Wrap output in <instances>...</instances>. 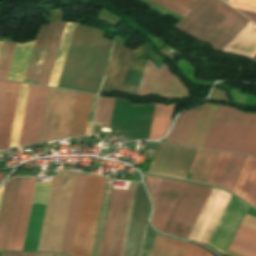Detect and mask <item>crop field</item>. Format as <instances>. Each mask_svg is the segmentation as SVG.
I'll return each mask as SVG.
<instances>
[{
    "label": "crop field",
    "instance_id": "e52e79f7",
    "mask_svg": "<svg viewBox=\"0 0 256 256\" xmlns=\"http://www.w3.org/2000/svg\"><path fill=\"white\" fill-rule=\"evenodd\" d=\"M150 202L143 183H134L119 256H140Z\"/></svg>",
    "mask_w": 256,
    "mask_h": 256
},
{
    "label": "crop field",
    "instance_id": "425ffa30",
    "mask_svg": "<svg viewBox=\"0 0 256 256\" xmlns=\"http://www.w3.org/2000/svg\"><path fill=\"white\" fill-rule=\"evenodd\" d=\"M228 249L231 251L237 252L239 254L245 255V256H256V253L249 251L247 249H244L242 247H239L237 245H234L232 243L230 244Z\"/></svg>",
    "mask_w": 256,
    "mask_h": 256
},
{
    "label": "crop field",
    "instance_id": "bc2a9ffb",
    "mask_svg": "<svg viewBox=\"0 0 256 256\" xmlns=\"http://www.w3.org/2000/svg\"><path fill=\"white\" fill-rule=\"evenodd\" d=\"M20 83L7 81L5 93L18 95ZM4 95L0 113V149L8 148L17 96Z\"/></svg>",
    "mask_w": 256,
    "mask_h": 256
},
{
    "label": "crop field",
    "instance_id": "d9b57169",
    "mask_svg": "<svg viewBox=\"0 0 256 256\" xmlns=\"http://www.w3.org/2000/svg\"><path fill=\"white\" fill-rule=\"evenodd\" d=\"M132 52L118 44L114 45L100 93L121 92Z\"/></svg>",
    "mask_w": 256,
    "mask_h": 256
},
{
    "label": "crop field",
    "instance_id": "447ae74e",
    "mask_svg": "<svg viewBox=\"0 0 256 256\" xmlns=\"http://www.w3.org/2000/svg\"><path fill=\"white\" fill-rule=\"evenodd\" d=\"M2 42H3V41H0V49H1V46H2Z\"/></svg>",
    "mask_w": 256,
    "mask_h": 256
},
{
    "label": "crop field",
    "instance_id": "f4fd0767",
    "mask_svg": "<svg viewBox=\"0 0 256 256\" xmlns=\"http://www.w3.org/2000/svg\"><path fill=\"white\" fill-rule=\"evenodd\" d=\"M106 178L87 174L72 256H90Z\"/></svg>",
    "mask_w": 256,
    "mask_h": 256
},
{
    "label": "crop field",
    "instance_id": "5866460e",
    "mask_svg": "<svg viewBox=\"0 0 256 256\" xmlns=\"http://www.w3.org/2000/svg\"><path fill=\"white\" fill-rule=\"evenodd\" d=\"M28 178H22L7 250H13Z\"/></svg>",
    "mask_w": 256,
    "mask_h": 256
},
{
    "label": "crop field",
    "instance_id": "b80d0937",
    "mask_svg": "<svg viewBox=\"0 0 256 256\" xmlns=\"http://www.w3.org/2000/svg\"><path fill=\"white\" fill-rule=\"evenodd\" d=\"M154 2H156L157 4L185 17L189 12L190 10L180 6V5H177L169 0H152Z\"/></svg>",
    "mask_w": 256,
    "mask_h": 256
},
{
    "label": "crop field",
    "instance_id": "0765c3eb",
    "mask_svg": "<svg viewBox=\"0 0 256 256\" xmlns=\"http://www.w3.org/2000/svg\"><path fill=\"white\" fill-rule=\"evenodd\" d=\"M224 1H226V2H227V0H224Z\"/></svg>",
    "mask_w": 256,
    "mask_h": 256
},
{
    "label": "crop field",
    "instance_id": "1f2cbd36",
    "mask_svg": "<svg viewBox=\"0 0 256 256\" xmlns=\"http://www.w3.org/2000/svg\"><path fill=\"white\" fill-rule=\"evenodd\" d=\"M5 83H6V81L0 80V107H1L3 92H4V88H5Z\"/></svg>",
    "mask_w": 256,
    "mask_h": 256
},
{
    "label": "crop field",
    "instance_id": "028f5c9d",
    "mask_svg": "<svg viewBox=\"0 0 256 256\" xmlns=\"http://www.w3.org/2000/svg\"><path fill=\"white\" fill-rule=\"evenodd\" d=\"M17 44L3 42L0 52V78L6 79Z\"/></svg>",
    "mask_w": 256,
    "mask_h": 256
},
{
    "label": "crop field",
    "instance_id": "dafd665d",
    "mask_svg": "<svg viewBox=\"0 0 256 256\" xmlns=\"http://www.w3.org/2000/svg\"><path fill=\"white\" fill-rule=\"evenodd\" d=\"M223 49L252 58L256 54V25L250 21Z\"/></svg>",
    "mask_w": 256,
    "mask_h": 256
},
{
    "label": "crop field",
    "instance_id": "eef30255",
    "mask_svg": "<svg viewBox=\"0 0 256 256\" xmlns=\"http://www.w3.org/2000/svg\"><path fill=\"white\" fill-rule=\"evenodd\" d=\"M34 42L27 43L24 45H17L16 52L7 79L23 82L30 60V56L32 53V49L34 46Z\"/></svg>",
    "mask_w": 256,
    "mask_h": 256
},
{
    "label": "crop field",
    "instance_id": "0fb4a251",
    "mask_svg": "<svg viewBox=\"0 0 256 256\" xmlns=\"http://www.w3.org/2000/svg\"><path fill=\"white\" fill-rule=\"evenodd\" d=\"M3 179V172H0V181Z\"/></svg>",
    "mask_w": 256,
    "mask_h": 256
},
{
    "label": "crop field",
    "instance_id": "d23c7cc5",
    "mask_svg": "<svg viewBox=\"0 0 256 256\" xmlns=\"http://www.w3.org/2000/svg\"><path fill=\"white\" fill-rule=\"evenodd\" d=\"M230 95H231L232 101L238 102V103H241V104H244L247 97H248V95H246L242 92L234 91V90H231V89H230Z\"/></svg>",
    "mask_w": 256,
    "mask_h": 256
},
{
    "label": "crop field",
    "instance_id": "d32e631a",
    "mask_svg": "<svg viewBox=\"0 0 256 256\" xmlns=\"http://www.w3.org/2000/svg\"><path fill=\"white\" fill-rule=\"evenodd\" d=\"M28 87H29V85L21 83L9 148L15 147L18 144V139H19L20 128H21V123H22V118H23V113H24V108H25V103H26Z\"/></svg>",
    "mask_w": 256,
    "mask_h": 256
},
{
    "label": "crop field",
    "instance_id": "412701ff",
    "mask_svg": "<svg viewBox=\"0 0 256 256\" xmlns=\"http://www.w3.org/2000/svg\"><path fill=\"white\" fill-rule=\"evenodd\" d=\"M75 175L61 171L52 180L38 251H61Z\"/></svg>",
    "mask_w": 256,
    "mask_h": 256
},
{
    "label": "crop field",
    "instance_id": "ae1a2a85",
    "mask_svg": "<svg viewBox=\"0 0 256 256\" xmlns=\"http://www.w3.org/2000/svg\"><path fill=\"white\" fill-rule=\"evenodd\" d=\"M175 105H155L154 116L149 139H159L167 131Z\"/></svg>",
    "mask_w": 256,
    "mask_h": 256
},
{
    "label": "crop field",
    "instance_id": "dbb93151",
    "mask_svg": "<svg viewBox=\"0 0 256 256\" xmlns=\"http://www.w3.org/2000/svg\"><path fill=\"white\" fill-rule=\"evenodd\" d=\"M227 254L232 255V256H242V255H239L237 253L231 252L229 250L227 251Z\"/></svg>",
    "mask_w": 256,
    "mask_h": 256
},
{
    "label": "crop field",
    "instance_id": "b54c1fbb",
    "mask_svg": "<svg viewBox=\"0 0 256 256\" xmlns=\"http://www.w3.org/2000/svg\"><path fill=\"white\" fill-rule=\"evenodd\" d=\"M185 256H213V255L203 250L199 246L187 243Z\"/></svg>",
    "mask_w": 256,
    "mask_h": 256
},
{
    "label": "crop field",
    "instance_id": "22f410ed",
    "mask_svg": "<svg viewBox=\"0 0 256 256\" xmlns=\"http://www.w3.org/2000/svg\"><path fill=\"white\" fill-rule=\"evenodd\" d=\"M230 196L222 190L213 188L188 239L207 244Z\"/></svg>",
    "mask_w": 256,
    "mask_h": 256
},
{
    "label": "crop field",
    "instance_id": "730fd06b",
    "mask_svg": "<svg viewBox=\"0 0 256 256\" xmlns=\"http://www.w3.org/2000/svg\"><path fill=\"white\" fill-rule=\"evenodd\" d=\"M91 97L90 94L78 92L69 137L84 135Z\"/></svg>",
    "mask_w": 256,
    "mask_h": 256
},
{
    "label": "crop field",
    "instance_id": "120bbe31",
    "mask_svg": "<svg viewBox=\"0 0 256 256\" xmlns=\"http://www.w3.org/2000/svg\"><path fill=\"white\" fill-rule=\"evenodd\" d=\"M245 157L246 156L243 155H231L226 170L219 184L220 186L225 187L230 191H233Z\"/></svg>",
    "mask_w": 256,
    "mask_h": 256
},
{
    "label": "crop field",
    "instance_id": "cbeb9de0",
    "mask_svg": "<svg viewBox=\"0 0 256 256\" xmlns=\"http://www.w3.org/2000/svg\"><path fill=\"white\" fill-rule=\"evenodd\" d=\"M248 206L231 196L208 245L224 254Z\"/></svg>",
    "mask_w": 256,
    "mask_h": 256
},
{
    "label": "crop field",
    "instance_id": "bd1437ed",
    "mask_svg": "<svg viewBox=\"0 0 256 256\" xmlns=\"http://www.w3.org/2000/svg\"><path fill=\"white\" fill-rule=\"evenodd\" d=\"M185 242L156 235L152 256H183Z\"/></svg>",
    "mask_w": 256,
    "mask_h": 256
},
{
    "label": "crop field",
    "instance_id": "89e229c0",
    "mask_svg": "<svg viewBox=\"0 0 256 256\" xmlns=\"http://www.w3.org/2000/svg\"><path fill=\"white\" fill-rule=\"evenodd\" d=\"M237 10H239L241 13H243L244 15L252 19L254 22H256V13H252V12H248L240 9H237Z\"/></svg>",
    "mask_w": 256,
    "mask_h": 256
},
{
    "label": "crop field",
    "instance_id": "d3111659",
    "mask_svg": "<svg viewBox=\"0 0 256 256\" xmlns=\"http://www.w3.org/2000/svg\"><path fill=\"white\" fill-rule=\"evenodd\" d=\"M74 25L75 24H73V23L65 24V28L63 31V35L61 38V42L59 45V49L57 52V56L55 59V63H54L53 70H52L51 77H50L49 84H48L50 86H54V87L57 86V82H58L60 72H61V69L63 66V62L65 59V55H66L68 45H69V42L71 39V35H72L73 29H74Z\"/></svg>",
    "mask_w": 256,
    "mask_h": 256
},
{
    "label": "crop field",
    "instance_id": "1d83c4d3",
    "mask_svg": "<svg viewBox=\"0 0 256 256\" xmlns=\"http://www.w3.org/2000/svg\"><path fill=\"white\" fill-rule=\"evenodd\" d=\"M65 23H57L38 84L47 85Z\"/></svg>",
    "mask_w": 256,
    "mask_h": 256
},
{
    "label": "crop field",
    "instance_id": "73cf0c24",
    "mask_svg": "<svg viewBox=\"0 0 256 256\" xmlns=\"http://www.w3.org/2000/svg\"><path fill=\"white\" fill-rule=\"evenodd\" d=\"M9 256H40V253L10 252Z\"/></svg>",
    "mask_w": 256,
    "mask_h": 256
},
{
    "label": "crop field",
    "instance_id": "733c2abd",
    "mask_svg": "<svg viewBox=\"0 0 256 256\" xmlns=\"http://www.w3.org/2000/svg\"><path fill=\"white\" fill-rule=\"evenodd\" d=\"M21 178L4 185L0 206V250H6Z\"/></svg>",
    "mask_w": 256,
    "mask_h": 256
},
{
    "label": "crop field",
    "instance_id": "d1516ede",
    "mask_svg": "<svg viewBox=\"0 0 256 256\" xmlns=\"http://www.w3.org/2000/svg\"><path fill=\"white\" fill-rule=\"evenodd\" d=\"M48 90L30 85L18 146L38 142Z\"/></svg>",
    "mask_w": 256,
    "mask_h": 256
},
{
    "label": "crop field",
    "instance_id": "3316defc",
    "mask_svg": "<svg viewBox=\"0 0 256 256\" xmlns=\"http://www.w3.org/2000/svg\"><path fill=\"white\" fill-rule=\"evenodd\" d=\"M131 187L129 191L113 189L99 256H118Z\"/></svg>",
    "mask_w": 256,
    "mask_h": 256
},
{
    "label": "crop field",
    "instance_id": "214f88e0",
    "mask_svg": "<svg viewBox=\"0 0 256 256\" xmlns=\"http://www.w3.org/2000/svg\"><path fill=\"white\" fill-rule=\"evenodd\" d=\"M85 176L86 175H81V174H77L76 176V181H75V186H74V191H73V196H72V201H71L62 251H61V253L63 254L70 255L71 253Z\"/></svg>",
    "mask_w": 256,
    "mask_h": 256
},
{
    "label": "crop field",
    "instance_id": "92a150f3",
    "mask_svg": "<svg viewBox=\"0 0 256 256\" xmlns=\"http://www.w3.org/2000/svg\"><path fill=\"white\" fill-rule=\"evenodd\" d=\"M233 193L256 205V159L246 157Z\"/></svg>",
    "mask_w": 256,
    "mask_h": 256
},
{
    "label": "crop field",
    "instance_id": "5d738f31",
    "mask_svg": "<svg viewBox=\"0 0 256 256\" xmlns=\"http://www.w3.org/2000/svg\"><path fill=\"white\" fill-rule=\"evenodd\" d=\"M237 234L256 241V231L245 226L240 225Z\"/></svg>",
    "mask_w": 256,
    "mask_h": 256
},
{
    "label": "crop field",
    "instance_id": "ac0d7876",
    "mask_svg": "<svg viewBox=\"0 0 256 256\" xmlns=\"http://www.w3.org/2000/svg\"><path fill=\"white\" fill-rule=\"evenodd\" d=\"M249 21L220 0H203L176 27L222 48Z\"/></svg>",
    "mask_w": 256,
    "mask_h": 256
},
{
    "label": "crop field",
    "instance_id": "a9b5d70f",
    "mask_svg": "<svg viewBox=\"0 0 256 256\" xmlns=\"http://www.w3.org/2000/svg\"><path fill=\"white\" fill-rule=\"evenodd\" d=\"M219 152L198 149L190 170L193 181L206 183Z\"/></svg>",
    "mask_w": 256,
    "mask_h": 256
},
{
    "label": "crop field",
    "instance_id": "34b2d1b8",
    "mask_svg": "<svg viewBox=\"0 0 256 256\" xmlns=\"http://www.w3.org/2000/svg\"><path fill=\"white\" fill-rule=\"evenodd\" d=\"M203 148L256 157V114L221 106Z\"/></svg>",
    "mask_w": 256,
    "mask_h": 256
},
{
    "label": "crop field",
    "instance_id": "c21b1889",
    "mask_svg": "<svg viewBox=\"0 0 256 256\" xmlns=\"http://www.w3.org/2000/svg\"><path fill=\"white\" fill-rule=\"evenodd\" d=\"M155 234L147 227L141 256H151Z\"/></svg>",
    "mask_w": 256,
    "mask_h": 256
},
{
    "label": "crop field",
    "instance_id": "4a817a6b",
    "mask_svg": "<svg viewBox=\"0 0 256 256\" xmlns=\"http://www.w3.org/2000/svg\"><path fill=\"white\" fill-rule=\"evenodd\" d=\"M55 24L40 27L24 82L38 83Z\"/></svg>",
    "mask_w": 256,
    "mask_h": 256
},
{
    "label": "crop field",
    "instance_id": "4177f3b9",
    "mask_svg": "<svg viewBox=\"0 0 256 256\" xmlns=\"http://www.w3.org/2000/svg\"><path fill=\"white\" fill-rule=\"evenodd\" d=\"M200 111L187 110L176 121L172 131L166 138L168 141L179 142V144L186 145L196 119Z\"/></svg>",
    "mask_w": 256,
    "mask_h": 256
},
{
    "label": "crop field",
    "instance_id": "5a996713",
    "mask_svg": "<svg viewBox=\"0 0 256 256\" xmlns=\"http://www.w3.org/2000/svg\"><path fill=\"white\" fill-rule=\"evenodd\" d=\"M146 185L155 204L152 224L162 232L187 183L148 176Z\"/></svg>",
    "mask_w": 256,
    "mask_h": 256
},
{
    "label": "crop field",
    "instance_id": "9d1cf04e",
    "mask_svg": "<svg viewBox=\"0 0 256 256\" xmlns=\"http://www.w3.org/2000/svg\"><path fill=\"white\" fill-rule=\"evenodd\" d=\"M48 255H56V256H61V255H57V254H48ZM41 256H47V255H41Z\"/></svg>",
    "mask_w": 256,
    "mask_h": 256
},
{
    "label": "crop field",
    "instance_id": "00972430",
    "mask_svg": "<svg viewBox=\"0 0 256 256\" xmlns=\"http://www.w3.org/2000/svg\"><path fill=\"white\" fill-rule=\"evenodd\" d=\"M219 107L204 103L187 145L203 147Z\"/></svg>",
    "mask_w": 256,
    "mask_h": 256
},
{
    "label": "crop field",
    "instance_id": "03da06ac",
    "mask_svg": "<svg viewBox=\"0 0 256 256\" xmlns=\"http://www.w3.org/2000/svg\"><path fill=\"white\" fill-rule=\"evenodd\" d=\"M232 243L256 252V242L245 237L236 234Z\"/></svg>",
    "mask_w": 256,
    "mask_h": 256
},
{
    "label": "crop field",
    "instance_id": "e1f06a70",
    "mask_svg": "<svg viewBox=\"0 0 256 256\" xmlns=\"http://www.w3.org/2000/svg\"><path fill=\"white\" fill-rule=\"evenodd\" d=\"M115 99L99 98L95 122L110 125Z\"/></svg>",
    "mask_w": 256,
    "mask_h": 256
},
{
    "label": "crop field",
    "instance_id": "5142ce71",
    "mask_svg": "<svg viewBox=\"0 0 256 256\" xmlns=\"http://www.w3.org/2000/svg\"><path fill=\"white\" fill-rule=\"evenodd\" d=\"M51 183H36L23 250L37 251Z\"/></svg>",
    "mask_w": 256,
    "mask_h": 256
},
{
    "label": "crop field",
    "instance_id": "8a807250",
    "mask_svg": "<svg viewBox=\"0 0 256 256\" xmlns=\"http://www.w3.org/2000/svg\"><path fill=\"white\" fill-rule=\"evenodd\" d=\"M112 45L99 30L76 24L57 87L98 93Z\"/></svg>",
    "mask_w": 256,
    "mask_h": 256
},
{
    "label": "crop field",
    "instance_id": "0bd39190",
    "mask_svg": "<svg viewBox=\"0 0 256 256\" xmlns=\"http://www.w3.org/2000/svg\"><path fill=\"white\" fill-rule=\"evenodd\" d=\"M231 154L220 152L207 183L218 185Z\"/></svg>",
    "mask_w": 256,
    "mask_h": 256
},
{
    "label": "crop field",
    "instance_id": "750c4746",
    "mask_svg": "<svg viewBox=\"0 0 256 256\" xmlns=\"http://www.w3.org/2000/svg\"><path fill=\"white\" fill-rule=\"evenodd\" d=\"M36 178H29L14 250H22Z\"/></svg>",
    "mask_w": 256,
    "mask_h": 256
},
{
    "label": "crop field",
    "instance_id": "dd49c442",
    "mask_svg": "<svg viewBox=\"0 0 256 256\" xmlns=\"http://www.w3.org/2000/svg\"><path fill=\"white\" fill-rule=\"evenodd\" d=\"M76 94L50 88L39 142L68 137Z\"/></svg>",
    "mask_w": 256,
    "mask_h": 256
},
{
    "label": "crop field",
    "instance_id": "c035e120",
    "mask_svg": "<svg viewBox=\"0 0 256 256\" xmlns=\"http://www.w3.org/2000/svg\"><path fill=\"white\" fill-rule=\"evenodd\" d=\"M233 7L256 12V0H229Z\"/></svg>",
    "mask_w": 256,
    "mask_h": 256
},
{
    "label": "crop field",
    "instance_id": "d8731c3e",
    "mask_svg": "<svg viewBox=\"0 0 256 256\" xmlns=\"http://www.w3.org/2000/svg\"><path fill=\"white\" fill-rule=\"evenodd\" d=\"M212 188L188 183L163 232L187 238Z\"/></svg>",
    "mask_w": 256,
    "mask_h": 256
},
{
    "label": "crop field",
    "instance_id": "1d79db26",
    "mask_svg": "<svg viewBox=\"0 0 256 256\" xmlns=\"http://www.w3.org/2000/svg\"><path fill=\"white\" fill-rule=\"evenodd\" d=\"M2 190H3V187L0 188V200H1Z\"/></svg>",
    "mask_w": 256,
    "mask_h": 256
},
{
    "label": "crop field",
    "instance_id": "28ad6ade",
    "mask_svg": "<svg viewBox=\"0 0 256 256\" xmlns=\"http://www.w3.org/2000/svg\"><path fill=\"white\" fill-rule=\"evenodd\" d=\"M137 94H157L163 97L189 95L184 85L164 64L157 70L149 60L146 62Z\"/></svg>",
    "mask_w": 256,
    "mask_h": 256
},
{
    "label": "crop field",
    "instance_id": "25e5ab78",
    "mask_svg": "<svg viewBox=\"0 0 256 256\" xmlns=\"http://www.w3.org/2000/svg\"><path fill=\"white\" fill-rule=\"evenodd\" d=\"M190 10H192L201 0H171Z\"/></svg>",
    "mask_w": 256,
    "mask_h": 256
}]
</instances>
